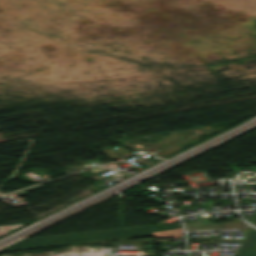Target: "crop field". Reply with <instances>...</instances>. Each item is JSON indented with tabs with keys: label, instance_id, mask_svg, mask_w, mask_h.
<instances>
[{
	"label": "crop field",
	"instance_id": "crop-field-1",
	"mask_svg": "<svg viewBox=\"0 0 256 256\" xmlns=\"http://www.w3.org/2000/svg\"><path fill=\"white\" fill-rule=\"evenodd\" d=\"M154 238H183L181 228L155 232Z\"/></svg>",
	"mask_w": 256,
	"mask_h": 256
},
{
	"label": "crop field",
	"instance_id": "crop-field-2",
	"mask_svg": "<svg viewBox=\"0 0 256 256\" xmlns=\"http://www.w3.org/2000/svg\"><path fill=\"white\" fill-rule=\"evenodd\" d=\"M4 141H6L3 137H2V135L0 134V142H4Z\"/></svg>",
	"mask_w": 256,
	"mask_h": 256
}]
</instances>
